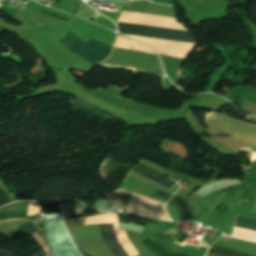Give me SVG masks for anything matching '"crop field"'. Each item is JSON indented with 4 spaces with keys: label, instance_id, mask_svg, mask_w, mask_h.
<instances>
[{
    "label": "crop field",
    "instance_id": "obj_1",
    "mask_svg": "<svg viewBox=\"0 0 256 256\" xmlns=\"http://www.w3.org/2000/svg\"><path fill=\"white\" fill-rule=\"evenodd\" d=\"M45 233L52 256H81L62 221V214L45 216Z\"/></svg>",
    "mask_w": 256,
    "mask_h": 256
},
{
    "label": "crop field",
    "instance_id": "obj_2",
    "mask_svg": "<svg viewBox=\"0 0 256 256\" xmlns=\"http://www.w3.org/2000/svg\"><path fill=\"white\" fill-rule=\"evenodd\" d=\"M121 33L194 43L187 30L118 21Z\"/></svg>",
    "mask_w": 256,
    "mask_h": 256
},
{
    "label": "crop field",
    "instance_id": "obj_3",
    "mask_svg": "<svg viewBox=\"0 0 256 256\" xmlns=\"http://www.w3.org/2000/svg\"><path fill=\"white\" fill-rule=\"evenodd\" d=\"M59 42L94 65L104 60L112 48L94 38L85 44L70 31Z\"/></svg>",
    "mask_w": 256,
    "mask_h": 256
},
{
    "label": "crop field",
    "instance_id": "obj_4",
    "mask_svg": "<svg viewBox=\"0 0 256 256\" xmlns=\"http://www.w3.org/2000/svg\"><path fill=\"white\" fill-rule=\"evenodd\" d=\"M236 227L256 231V221L236 216ZM234 227L233 237L242 238L256 242V232Z\"/></svg>",
    "mask_w": 256,
    "mask_h": 256
},
{
    "label": "crop field",
    "instance_id": "obj_5",
    "mask_svg": "<svg viewBox=\"0 0 256 256\" xmlns=\"http://www.w3.org/2000/svg\"><path fill=\"white\" fill-rule=\"evenodd\" d=\"M104 243L111 249L114 256H128L117 241L112 224L99 225Z\"/></svg>",
    "mask_w": 256,
    "mask_h": 256
},
{
    "label": "crop field",
    "instance_id": "obj_6",
    "mask_svg": "<svg viewBox=\"0 0 256 256\" xmlns=\"http://www.w3.org/2000/svg\"><path fill=\"white\" fill-rule=\"evenodd\" d=\"M132 170L138 172L139 174L153 180L156 183H159L169 189L171 186H173L176 182L164 177L163 175L153 171L152 169L140 164L133 168ZM174 180V179H173Z\"/></svg>",
    "mask_w": 256,
    "mask_h": 256
},
{
    "label": "crop field",
    "instance_id": "obj_7",
    "mask_svg": "<svg viewBox=\"0 0 256 256\" xmlns=\"http://www.w3.org/2000/svg\"><path fill=\"white\" fill-rule=\"evenodd\" d=\"M119 222H137L141 224L147 225L149 218L132 215V214H126V213H117Z\"/></svg>",
    "mask_w": 256,
    "mask_h": 256
},
{
    "label": "crop field",
    "instance_id": "obj_8",
    "mask_svg": "<svg viewBox=\"0 0 256 256\" xmlns=\"http://www.w3.org/2000/svg\"><path fill=\"white\" fill-rule=\"evenodd\" d=\"M214 245L211 246V248L209 249L208 252L218 254V255H221V256H251V255H248V254L232 251V250L225 249V248L218 247V246H214Z\"/></svg>",
    "mask_w": 256,
    "mask_h": 256
},
{
    "label": "crop field",
    "instance_id": "obj_9",
    "mask_svg": "<svg viewBox=\"0 0 256 256\" xmlns=\"http://www.w3.org/2000/svg\"><path fill=\"white\" fill-rule=\"evenodd\" d=\"M27 212H9L1 213L0 219L11 218V217H26Z\"/></svg>",
    "mask_w": 256,
    "mask_h": 256
},
{
    "label": "crop field",
    "instance_id": "obj_10",
    "mask_svg": "<svg viewBox=\"0 0 256 256\" xmlns=\"http://www.w3.org/2000/svg\"><path fill=\"white\" fill-rule=\"evenodd\" d=\"M9 199L4 195V193L0 190V205L5 203H9Z\"/></svg>",
    "mask_w": 256,
    "mask_h": 256
},
{
    "label": "crop field",
    "instance_id": "obj_11",
    "mask_svg": "<svg viewBox=\"0 0 256 256\" xmlns=\"http://www.w3.org/2000/svg\"><path fill=\"white\" fill-rule=\"evenodd\" d=\"M79 250L83 253L84 256H91V255H89L87 252L81 250L80 248H79ZM82 253H81V254H82Z\"/></svg>",
    "mask_w": 256,
    "mask_h": 256
},
{
    "label": "crop field",
    "instance_id": "obj_12",
    "mask_svg": "<svg viewBox=\"0 0 256 256\" xmlns=\"http://www.w3.org/2000/svg\"><path fill=\"white\" fill-rule=\"evenodd\" d=\"M117 37H122V36H119V35H118ZM123 38H125V37H123Z\"/></svg>",
    "mask_w": 256,
    "mask_h": 256
}]
</instances>
